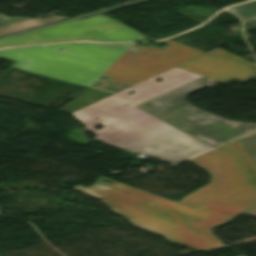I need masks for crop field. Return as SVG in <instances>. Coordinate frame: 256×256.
Wrapping results in <instances>:
<instances>
[{"label":"crop field","instance_id":"8a807250","mask_svg":"<svg viewBox=\"0 0 256 256\" xmlns=\"http://www.w3.org/2000/svg\"><path fill=\"white\" fill-rule=\"evenodd\" d=\"M158 49L133 44L74 43L0 51L13 66L90 87L101 75L110 82L135 85L174 66L228 84L256 78V64L221 49L208 54L173 42ZM65 49L66 51H60Z\"/></svg>","mask_w":256,"mask_h":256},{"label":"crop field","instance_id":"ac0d7876","mask_svg":"<svg viewBox=\"0 0 256 256\" xmlns=\"http://www.w3.org/2000/svg\"><path fill=\"white\" fill-rule=\"evenodd\" d=\"M200 77L174 67L72 114L96 134V141L177 164L213 147L135 106ZM156 78L164 81L154 82ZM130 91L136 93L129 96L126 93ZM96 117L100 118L94 120ZM99 124L106 128L99 131L91 128Z\"/></svg>","mask_w":256,"mask_h":256},{"label":"crop field","instance_id":"34b2d1b8","mask_svg":"<svg viewBox=\"0 0 256 256\" xmlns=\"http://www.w3.org/2000/svg\"><path fill=\"white\" fill-rule=\"evenodd\" d=\"M102 179L107 178L100 176L88 188L78 185L72 189L101 200L111 211L137 227L197 251L223 245L211 233L215 227L229 223L242 213L256 216V208L219 204L191 208L113 180L114 184L105 183Z\"/></svg>","mask_w":256,"mask_h":256},{"label":"crop field","instance_id":"412701ff","mask_svg":"<svg viewBox=\"0 0 256 256\" xmlns=\"http://www.w3.org/2000/svg\"><path fill=\"white\" fill-rule=\"evenodd\" d=\"M189 161L207 171L211 179L181 203L191 207L207 203L256 207V164L239 140Z\"/></svg>","mask_w":256,"mask_h":256},{"label":"crop field","instance_id":"f4fd0767","mask_svg":"<svg viewBox=\"0 0 256 256\" xmlns=\"http://www.w3.org/2000/svg\"><path fill=\"white\" fill-rule=\"evenodd\" d=\"M215 83L202 77L138 107L214 147L256 130V124L228 121L186 102L190 94Z\"/></svg>","mask_w":256,"mask_h":256},{"label":"crop field","instance_id":"dd49c442","mask_svg":"<svg viewBox=\"0 0 256 256\" xmlns=\"http://www.w3.org/2000/svg\"><path fill=\"white\" fill-rule=\"evenodd\" d=\"M138 36L142 35L125 24L98 15L0 40V47L79 39L102 42L129 41L138 40L135 38Z\"/></svg>","mask_w":256,"mask_h":256},{"label":"crop field","instance_id":"e52e79f7","mask_svg":"<svg viewBox=\"0 0 256 256\" xmlns=\"http://www.w3.org/2000/svg\"><path fill=\"white\" fill-rule=\"evenodd\" d=\"M67 17H61L53 15L44 19L41 18H24V17H12L0 14V36L11 34L17 31L28 29L41 24L65 19Z\"/></svg>","mask_w":256,"mask_h":256},{"label":"crop field","instance_id":"d8731c3e","mask_svg":"<svg viewBox=\"0 0 256 256\" xmlns=\"http://www.w3.org/2000/svg\"><path fill=\"white\" fill-rule=\"evenodd\" d=\"M243 19L244 31L256 28V1L228 8Z\"/></svg>","mask_w":256,"mask_h":256},{"label":"crop field","instance_id":"5a996713","mask_svg":"<svg viewBox=\"0 0 256 256\" xmlns=\"http://www.w3.org/2000/svg\"><path fill=\"white\" fill-rule=\"evenodd\" d=\"M241 140L256 161V133L244 137Z\"/></svg>","mask_w":256,"mask_h":256}]
</instances>
